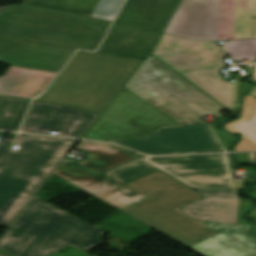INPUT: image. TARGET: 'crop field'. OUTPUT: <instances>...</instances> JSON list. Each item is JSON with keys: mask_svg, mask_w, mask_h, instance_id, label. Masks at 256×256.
<instances>
[{"mask_svg": "<svg viewBox=\"0 0 256 256\" xmlns=\"http://www.w3.org/2000/svg\"><path fill=\"white\" fill-rule=\"evenodd\" d=\"M109 25L14 5L0 11V60L57 72L76 48L95 50Z\"/></svg>", "mask_w": 256, "mask_h": 256, "instance_id": "crop-field-1", "label": "crop field"}, {"mask_svg": "<svg viewBox=\"0 0 256 256\" xmlns=\"http://www.w3.org/2000/svg\"><path fill=\"white\" fill-rule=\"evenodd\" d=\"M104 232L34 197L0 238L13 256H49L69 245L85 252L103 244Z\"/></svg>", "mask_w": 256, "mask_h": 256, "instance_id": "crop-field-2", "label": "crop field"}, {"mask_svg": "<svg viewBox=\"0 0 256 256\" xmlns=\"http://www.w3.org/2000/svg\"><path fill=\"white\" fill-rule=\"evenodd\" d=\"M143 60L77 51L36 100L102 112Z\"/></svg>", "mask_w": 256, "mask_h": 256, "instance_id": "crop-field-3", "label": "crop field"}, {"mask_svg": "<svg viewBox=\"0 0 256 256\" xmlns=\"http://www.w3.org/2000/svg\"><path fill=\"white\" fill-rule=\"evenodd\" d=\"M76 140L18 134L0 167V225L9 226ZM10 147L0 146V166Z\"/></svg>", "mask_w": 256, "mask_h": 256, "instance_id": "crop-field-4", "label": "crop field"}, {"mask_svg": "<svg viewBox=\"0 0 256 256\" xmlns=\"http://www.w3.org/2000/svg\"><path fill=\"white\" fill-rule=\"evenodd\" d=\"M129 186L149 198L122 212L190 247L220 231L210 230L206 222L189 218L179 208L205 196L179 184L160 171L136 180Z\"/></svg>", "mask_w": 256, "mask_h": 256, "instance_id": "crop-field-5", "label": "crop field"}, {"mask_svg": "<svg viewBox=\"0 0 256 256\" xmlns=\"http://www.w3.org/2000/svg\"><path fill=\"white\" fill-rule=\"evenodd\" d=\"M165 34L190 40L256 38V0H182Z\"/></svg>", "mask_w": 256, "mask_h": 256, "instance_id": "crop-field-6", "label": "crop field"}, {"mask_svg": "<svg viewBox=\"0 0 256 256\" xmlns=\"http://www.w3.org/2000/svg\"><path fill=\"white\" fill-rule=\"evenodd\" d=\"M123 87L182 125L206 123L200 118L223 109L151 55Z\"/></svg>", "mask_w": 256, "mask_h": 256, "instance_id": "crop-field-7", "label": "crop field"}, {"mask_svg": "<svg viewBox=\"0 0 256 256\" xmlns=\"http://www.w3.org/2000/svg\"><path fill=\"white\" fill-rule=\"evenodd\" d=\"M76 150L86 154V159L77 163L65 158L53 174L120 210L148 197L107 174L138 159L134 155L95 141H81Z\"/></svg>", "mask_w": 256, "mask_h": 256, "instance_id": "crop-field-8", "label": "crop field"}, {"mask_svg": "<svg viewBox=\"0 0 256 256\" xmlns=\"http://www.w3.org/2000/svg\"><path fill=\"white\" fill-rule=\"evenodd\" d=\"M152 54L226 108L234 105L235 83L223 82L217 74L226 54L216 44L162 34Z\"/></svg>", "mask_w": 256, "mask_h": 256, "instance_id": "crop-field-9", "label": "crop field"}, {"mask_svg": "<svg viewBox=\"0 0 256 256\" xmlns=\"http://www.w3.org/2000/svg\"><path fill=\"white\" fill-rule=\"evenodd\" d=\"M180 125L167 115L122 88L89 129L107 140L148 136L160 127Z\"/></svg>", "mask_w": 256, "mask_h": 256, "instance_id": "crop-field-10", "label": "crop field"}, {"mask_svg": "<svg viewBox=\"0 0 256 256\" xmlns=\"http://www.w3.org/2000/svg\"><path fill=\"white\" fill-rule=\"evenodd\" d=\"M193 189L234 188L225 154L143 159Z\"/></svg>", "mask_w": 256, "mask_h": 256, "instance_id": "crop-field-11", "label": "crop field"}, {"mask_svg": "<svg viewBox=\"0 0 256 256\" xmlns=\"http://www.w3.org/2000/svg\"><path fill=\"white\" fill-rule=\"evenodd\" d=\"M150 136L166 142L165 145L150 137L111 141L147 155H170L189 152L223 150L208 124L161 128Z\"/></svg>", "mask_w": 256, "mask_h": 256, "instance_id": "crop-field-12", "label": "crop field"}, {"mask_svg": "<svg viewBox=\"0 0 256 256\" xmlns=\"http://www.w3.org/2000/svg\"><path fill=\"white\" fill-rule=\"evenodd\" d=\"M96 117L81 109L33 101L22 127L28 133L49 135L54 131L58 136L80 138Z\"/></svg>", "mask_w": 256, "mask_h": 256, "instance_id": "crop-field-13", "label": "crop field"}, {"mask_svg": "<svg viewBox=\"0 0 256 256\" xmlns=\"http://www.w3.org/2000/svg\"><path fill=\"white\" fill-rule=\"evenodd\" d=\"M222 232L190 247L203 256H256V238L249 233L250 225L206 223Z\"/></svg>", "mask_w": 256, "mask_h": 256, "instance_id": "crop-field-14", "label": "crop field"}, {"mask_svg": "<svg viewBox=\"0 0 256 256\" xmlns=\"http://www.w3.org/2000/svg\"><path fill=\"white\" fill-rule=\"evenodd\" d=\"M116 23L98 51L144 59L160 32Z\"/></svg>", "mask_w": 256, "mask_h": 256, "instance_id": "crop-field-15", "label": "crop field"}, {"mask_svg": "<svg viewBox=\"0 0 256 256\" xmlns=\"http://www.w3.org/2000/svg\"><path fill=\"white\" fill-rule=\"evenodd\" d=\"M206 198L191 203L181 210L201 221L236 224L239 197L236 190L197 191Z\"/></svg>", "mask_w": 256, "mask_h": 256, "instance_id": "crop-field-16", "label": "crop field"}, {"mask_svg": "<svg viewBox=\"0 0 256 256\" xmlns=\"http://www.w3.org/2000/svg\"><path fill=\"white\" fill-rule=\"evenodd\" d=\"M179 0H127L115 21L163 30Z\"/></svg>", "mask_w": 256, "mask_h": 256, "instance_id": "crop-field-17", "label": "crop field"}, {"mask_svg": "<svg viewBox=\"0 0 256 256\" xmlns=\"http://www.w3.org/2000/svg\"><path fill=\"white\" fill-rule=\"evenodd\" d=\"M55 73L11 67L0 77V95L32 99L41 94Z\"/></svg>", "mask_w": 256, "mask_h": 256, "instance_id": "crop-field-18", "label": "crop field"}, {"mask_svg": "<svg viewBox=\"0 0 256 256\" xmlns=\"http://www.w3.org/2000/svg\"><path fill=\"white\" fill-rule=\"evenodd\" d=\"M99 0H24V5L91 17Z\"/></svg>", "mask_w": 256, "mask_h": 256, "instance_id": "crop-field-19", "label": "crop field"}, {"mask_svg": "<svg viewBox=\"0 0 256 256\" xmlns=\"http://www.w3.org/2000/svg\"><path fill=\"white\" fill-rule=\"evenodd\" d=\"M29 100L0 97V130L18 131Z\"/></svg>", "mask_w": 256, "mask_h": 256, "instance_id": "crop-field-20", "label": "crop field"}, {"mask_svg": "<svg viewBox=\"0 0 256 256\" xmlns=\"http://www.w3.org/2000/svg\"><path fill=\"white\" fill-rule=\"evenodd\" d=\"M223 48L233 60L256 61V39L229 41Z\"/></svg>", "mask_w": 256, "mask_h": 256, "instance_id": "crop-field-21", "label": "crop field"}, {"mask_svg": "<svg viewBox=\"0 0 256 256\" xmlns=\"http://www.w3.org/2000/svg\"><path fill=\"white\" fill-rule=\"evenodd\" d=\"M158 169L152 167L151 165L138 160L134 163H131L129 165H126L110 174L113 176L119 178L120 180L124 182L132 181L136 178H139L141 176H144L146 174L152 173Z\"/></svg>", "mask_w": 256, "mask_h": 256, "instance_id": "crop-field-22", "label": "crop field"}, {"mask_svg": "<svg viewBox=\"0 0 256 256\" xmlns=\"http://www.w3.org/2000/svg\"><path fill=\"white\" fill-rule=\"evenodd\" d=\"M124 0H100L92 17L113 21Z\"/></svg>", "mask_w": 256, "mask_h": 256, "instance_id": "crop-field-23", "label": "crop field"}, {"mask_svg": "<svg viewBox=\"0 0 256 256\" xmlns=\"http://www.w3.org/2000/svg\"><path fill=\"white\" fill-rule=\"evenodd\" d=\"M239 121L241 120L237 119L231 123L224 125L226 131H229L231 133H236V132L240 133L238 130H236L234 127L231 126ZM241 138L242 140L234 146V150H256V143L251 141L249 138H247L243 134L241 135Z\"/></svg>", "mask_w": 256, "mask_h": 256, "instance_id": "crop-field-24", "label": "crop field"}, {"mask_svg": "<svg viewBox=\"0 0 256 256\" xmlns=\"http://www.w3.org/2000/svg\"><path fill=\"white\" fill-rule=\"evenodd\" d=\"M233 126L247 137H249L251 140L256 142V112L247 124L241 121Z\"/></svg>", "mask_w": 256, "mask_h": 256, "instance_id": "crop-field-25", "label": "crop field"}, {"mask_svg": "<svg viewBox=\"0 0 256 256\" xmlns=\"http://www.w3.org/2000/svg\"><path fill=\"white\" fill-rule=\"evenodd\" d=\"M255 104L256 99L247 94L243 102V111L240 114L239 119L247 123L255 112Z\"/></svg>", "mask_w": 256, "mask_h": 256, "instance_id": "crop-field-26", "label": "crop field"}, {"mask_svg": "<svg viewBox=\"0 0 256 256\" xmlns=\"http://www.w3.org/2000/svg\"><path fill=\"white\" fill-rule=\"evenodd\" d=\"M252 205H253L252 200L240 198L237 224L247 223L245 220L242 219V216L244 214L245 209Z\"/></svg>", "mask_w": 256, "mask_h": 256, "instance_id": "crop-field-27", "label": "crop field"}, {"mask_svg": "<svg viewBox=\"0 0 256 256\" xmlns=\"http://www.w3.org/2000/svg\"><path fill=\"white\" fill-rule=\"evenodd\" d=\"M211 125H212V128H213L215 134L217 135L218 139L220 140V142L224 146V148L228 147L229 146V142H230L232 137H230V136H228L226 134L221 133L213 124H211Z\"/></svg>", "mask_w": 256, "mask_h": 256, "instance_id": "crop-field-28", "label": "crop field"}, {"mask_svg": "<svg viewBox=\"0 0 256 256\" xmlns=\"http://www.w3.org/2000/svg\"><path fill=\"white\" fill-rule=\"evenodd\" d=\"M82 138L91 139V140H99V141H106L105 139L101 138L100 136L94 134L91 131H87Z\"/></svg>", "mask_w": 256, "mask_h": 256, "instance_id": "crop-field-29", "label": "crop field"}, {"mask_svg": "<svg viewBox=\"0 0 256 256\" xmlns=\"http://www.w3.org/2000/svg\"><path fill=\"white\" fill-rule=\"evenodd\" d=\"M247 196L256 198V187H255L251 192H249V193L247 194ZM249 216H250L252 219L256 220V209L253 210V211H251L250 214H249Z\"/></svg>", "mask_w": 256, "mask_h": 256, "instance_id": "crop-field-30", "label": "crop field"}, {"mask_svg": "<svg viewBox=\"0 0 256 256\" xmlns=\"http://www.w3.org/2000/svg\"><path fill=\"white\" fill-rule=\"evenodd\" d=\"M236 158L238 162H248V153H238Z\"/></svg>", "mask_w": 256, "mask_h": 256, "instance_id": "crop-field-31", "label": "crop field"}, {"mask_svg": "<svg viewBox=\"0 0 256 256\" xmlns=\"http://www.w3.org/2000/svg\"><path fill=\"white\" fill-rule=\"evenodd\" d=\"M249 161L256 165V153H249Z\"/></svg>", "mask_w": 256, "mask_h": 256, "instance_id": "crop-field-32", "label": "crop field"}, {"mask_svg": "<svg viewBox=\"0 0 256 256\" xmlns=\"http://www.w3.org/2000/svg\"><path fill=\"white\" fill-rule=\"evenodd\" d=\"M253 78L256 79V68H255V72H254Z\"/></svg>", "mask_w": 256, "mask_h": 256, "instance_id": "crop-field-33", "label": "crop field"}, {"mask_svg": "<svg viewBox=\"0 0 256 256\" xmlns=\"http://www.w3.org/2000/svg\"><path fill=\"white\" fill-rule=\"evenodd\" d=\"M253 232H254V234L256 235V226H255V228L253 229Z\"/></svg>", "mask_w": 256, "mask_h": 256, "instance_id": "crop-field-34", "label": "crop field"}, {"mask_svg": "<svg viewBox=\"0 0 256 256\" xmlns=\"http://www.w3.org/2000/svg\"><path fill=\"white\" fill-rule=\"evenodd\" d=\"M253 82H256V80H253Z\"/></svg>", "mask_w": 256, "mask_h": 256, "instance_id": "crop-field-35", "label": "crop field"}, {"mask_svg": "<svg viewBox=\"0 0 256 256\" xmlns=\"http://www.w3.org/2000/svg\"><path fill=\"white\" fill-rule=\"evenodd\" d=\"M256 98V96H254Z\"/></svg>", "mask_w": 256, "mask_h": 256, "instance_id": "crop-field-36", "label": "crop field"}]
</instances>
